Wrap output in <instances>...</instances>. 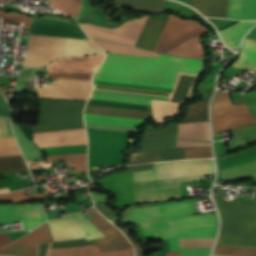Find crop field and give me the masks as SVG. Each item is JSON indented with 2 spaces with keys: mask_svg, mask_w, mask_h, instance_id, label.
Listing matches in <instances>:
<instances>
[{
  "mask_svg": "<svg viewBox=\"0 0 256 256\" xmlns=\"http://www.w3.org/2000/svg\"><path fill=\"white\" fill-rule=\"evenodd\" d=\"M203 67L204 59L169 58L161 54L157 58L107 54L93 79L173 88L179 72L200 76Z\"/></svg>",
  "mask_w": 256,
  "mask_h": 256,
  "instance_id": "obj_1",
  "label": "crop field"
},
{
  "mask_svg": "<svg viewBox=\"0 0 256 256\" xmlns=\"http://www.w3.org/2000/svg\"><path fill=\"white\" fill-rule=\"evenodd\" d=\"M215 173L214 162L187 160L158 163L153 170L134 173V181ZM204 175L134 182L135 202L180 198L178 181L197 180Z\"/></svg>",
  "mask_w": 256,
  "mask_h": 256,
  "instance_id": "obj_2",
  "label": "crop field"
},
{
  "mask_svg": "<svg viewBox=\"0 0 256 256\" xmlns=\"http://www.w3.org/2000/svg\"><path fill=\"white\" fill-rule=\"evenodd\" d=\"M147 236L169 239L170 251L179 252V238H214L217 214L192 215L139 224Z\"/></svg>",
  "mask_w": 256,
  "mask_h": 256,
  "instance_id": "obj_3",
  "label": "crop field"
},
{
  "mask_svg": "<svg viewBox=\"0 0 256 256\" xmlns=\"http://www.w3.org/2000/svg\"><path fill=\"white\" fill-rule=\"evenodd\" d=\"M221 217L219 234L256 237V189L253 203L214 198ZM219 235L216 244L256 247V238Z\"/></svg>",
  "mask_w": 256,
  "mask_h": 256,
  "instance_id": "obj_4",
  "label": "crop field"
},
{
  "mask_svg": "<svg viewBox=\"0 0 256 256\" xmlns=\"http://www.w3.org/2000/svg\"><path fill=\"white\" fill-rule=\"evenodd\" d=\"M66 38L30 35L27 44L25 67H43L57 58L64 57ZM104 51L94 43L67 38L65 56L102 54Z\"/></svg>",
  "mask_w": 256,
  "mask_h": 256,
  "instance_id": "obj_5",
  "label": "crop field"
},
{
  "mask_svg": "<svg viewBox=\"0 0 256 256\" xmlns=\"http://www.w3.org/2000/svg\"><path fill=\"white\" fill-rule=\"evenodd\" d=\"M208 31L194 20H182L171 15L154 51L205 58L200 38Z\"/></svg>",
  "mask_w": 256,
  "mask_h": 256,
  "instance_id": "obj_6",
  "label": "crop field"
},
{
  "mask_svg": "<svg viewBox=\"0 0 256 256\" xmlns=\"http://www.w3.org/2000/svg\"><path fill=\"white\" fill-rule=\"evenodd\" d=\"M212 132L236 129L256 122L244 104L232 105L228 93L217 92L211 107Z\"/></svg>",
  "mask_w": 256,
  "mask_h": 256,
  "instance_id": "obj_7",
  "label": "crop field"
},
{
  "mask_svg": "<svg viewBox=\"0 0 256 256\" xmlns=\"http://www.w3.org/2000/svg\"><path fill=\"white\" fill-rule=\"evenodd\" d=\"M211 90L207 100L190 105L186 118L180 123L208 121V102L213 93ZM178 125L168 126L162 130L145 131L143 134V147L140 151L176 147ZM139 152V151H138Z\"/></svg>",
  "mask_w": 256,
  "mask_h": 256,
  "instance_id": "obj_8",
  "label": "crop field"
},
{
  "mask_svg": "<svg viewBox=\"0 0 256 256\" xmlns=\"http://www.w3.org/2000/svg\"><path fill=\"white\" fill-rule=\"evenodd\" d=\"M250 0H191L193 7L205 16L248 20ZM256 19V0L250 2L249 20Z\"/></svg>",
  "mask_w": 256,
  "mask_h": 256,
  "instance_id": "obj_9",
  "label": "crop field"
},
{
  "mask_svg": "<svg viewBox=\"0 0 256 256\" xmlns=\"http://www.w3.org/2000/svg\"><path fill=\"white\" fill-rule=\"evenodd\" d=\"M148 16L140 19H131L124 22L120 27L115 29H107L103 27H97L90 24H80L81 27L85 26L91 38L113 41L121 44L134 46L139 34L143 28V25Z\"/></svg>",
  "mask_w": 256,
  "mask_h": 256,
  "instance_id": "obj_10",
  "label": "crop field"
},
{
  "mask_svg": "<svg viewBox=\"0 0 256 256\" xmlns=\"http://www.w3.org/2000/svg\"><path fill=\"white\" fill-rule=\"evenodd\" d=\"M1 224L22 221L24 230L33 229L47 221L43 203L0 205Z\"/></svg>",
  "mask_w": 256,
  "mask_h": 256,
  "instance_id": "obj_11",
  "label": "crop field"
},
{
  "mask_svg": "<svg viewBox=\"0 0 256 256\" xmlns=\"http://www.w3.org/2000/svg\"><path fill=\"white\" fill-rule=\"evenodd\" d=\"M193 202H194V199L180 201V202H174V203H168V204H162V205H156V206H150V207H144V208H138V209H132L129 211L128 215L149 212V211H155V210H161V209H167V208H173V207H179V206H185V205H191V204H193ZM192 212H196L194 205L173 208V209H167V210H161V211H155V212H149V213H143V214H137V215H131V216H128L126 223H137V222L153 220V219L175 217V216H179V215H187Z\"/></svg>",
  "mask_w": 256,
  "mask_h": 256,
  "instance_id": "obj_12",
  "label": "crop field"
},
{
  "mask_svg": "<svg viewBox=\"0 0 256 256\" xmlns=\"http://www.w3.org/2000/svg\"><path fill=\"white\" fill-rule=\"evenodd\" d=\"M88 212L94 217L89 219V221L106 236L95 239L101 251L119 250L131 247L123 234L103 218L95 208L88 210Z\"/></svg>",
  "mask_w": 256,
  "mask_h": 256,
  "instance_id": "obj_13",
  "label": "crop field"
},
{
  "mask_svg": "<svg viewBox=\"0 0 256 256\" xmlns=\"http://www.w3.org/2000/svg\"><path fill=\"white\" fill-rule=\"evenodd\" d=\"M53 242L47 222L22 239L0 250V254L12 256H36V244Z\"/></svg>",
  "mask_w": 256,
  "mask_h": 256,
  "instance_id": "obj_14",
  "label": "crop field"
},
{
  "mask_svg": "<svg viewBox=\"0 0 256 256\" xmlns=\"http://www.w3.org/2000/svg\"><path fill=\"white\" fill-rule=\"evenodd\" d=\"M30 34L71 37L88 40L78 25L43 19H33Z\"/></svg>",
  "mask_w": 256,
  "mask_h": 256,
  "instance_id": "obj_15",
  "label": "crop field"
},
{
  "mask_svg": "<svg viewBox=\"0 0 256 256\" xmlns=\"http://www.w3.org/2000/svg\"><path fill=\"white\" fill-rule=\"evenodd\" d=\"M38 147L86 144L84 129L34 134Z\"/></svg>",
  "mask_w": 256,
  "mask_h": 256,
  "instance_id": "obj_16",
  "label": "crop field"
},
{
  "mask_svg": "<svg viewBox=\"0 0 256 256\" xmlns=\"http://www.w3.org/2000/svg\"><path fill=\"white\" fill-rule=\"evenodd\" d=\"M168 18L149 17L135 46L153 51Z\"/></svg>",
  "mask_w": 256,
  "mask_h": 256,
  "instance_id": "obj_17",
  "label": "crop field"
},
{
  "mask_svg": "<svg viewBox=\"0 0 256 256\" xmlns=\"http://www.w3.org/2000/svg\"><path fill=\"white\" fill-rule=\"evenodd\" d=\"M49 256H133V248L101 252L96 244L66 249H51Z\"/></svg>",
  "mask_w": 256,
  "mask_h": 256,
  "instance_id": "obj_18",
  "label": "crop field"
},
{
  "mask_svg": "<svg viewBox=\"0 0 256 256\" xmlns=\"http://www.w3.org/2000/svg\"><path fill=\"white\" fill-rule=\"evenodd\" d=\"M84 113L115 116V117H124V118H133V119H142V120L151 119V111L103 107V106H92V105H87Z\"/></svg>",
  "mask_w": 256,
  "mask_h": 256,
  "instance_id": "obj_19",
  "label": "crop field"
},
{
  "mask_svg": "<svg viewBox=\"0 0 256 256\" xmlns=\"http://www.w3.org/2000/svg\"><path fill=\"white\" fill-rule=\"evenodd\" d=\"M255 23L256 21H240L239 23L220 31V37L230 48L237 49L244 34L248 32Z\"/></svg>",
  "mask_w": 256,
  "mask_h": 256,
  "instance_id": "obj_20",
  "label": "crop field"
},
{
  "mask_svg": "<svg viewBox=\"0 0 256 256\" xmlns=\"http://www.w3.org/2000/svg\"><path fill=\"white\" fill-rule=\"evenodd\" d=\"M231 66L256 70V40H244L240 57Z\"/></svg>",
  "mask_w": 256,
  "mask_h": 256,
  "instance_id": "obj_21",
  "label": "crop field"
},
{
  "mask_svg": "<svg viewBox=\"0 0 256 256\" xmlns=\"http://www.w3.org/2000/svg\"><path fill=\"white\" fill-rule=\"evenodd\" d=\"M54 242L83 238L63 218L49 222Z\"/></svg>",
  "mask_w": 256,
  "mask_h": 256,
  "instance_id": "obj_22",
  "label": "crop field"
},
{
  "mask_svg": "<svg viewBox=\"0 0 256 256\" xmlns=\"http://www.w3.org/2000/svg\"><path fill=\"white\" fill-rule=\"evenodd\" d=\"M66 219L88 240L104 236L93 225H91L81 213L66 217Z\"/></svg>",
  "mask_w": 256,
  "mask_h": 256,
  "instance_id": "obj_23",
  "label": "crop field"
},
{
  "mask_svg": "<svg viewBox=\"0 0 256 256\" xmlns=\"http://www.w3.org/2000/svg\"><path fill=\"white\" fill-rule=\"evenodd\" d=\"M206 137L210 141L208 122H204ZM203 123L179 125L178 138L206 140Z\"/></svg>",
  "mask_w": 256,
  "mask_h": 256,
  "instance_id": "obj_24",
  "label": "crop field"
},
{
  "mask_svg": "<svg viewBox=\"0 0 256 256\" xmlns=\"http://www.w3.org/2000/svg\"><path fill=\"white\" fill-rule=\"evenodd\" d=\"M116 8L130 6L142 11L163 12L164 0H116Z\"/></svg>",
  "mask_w": 256,
  "mask_h": 256,
  "instance_id": "obj_25",
  "label": "crop field"
},
{
  "mask_svg": "<svg viewBox=\"0 0 256 256\" xmlns=\"http://www.w3.org/2000/svg\"><path fill=\"white\" fill-rule=\"evenodd\" d=\"M50 161L65 160L75 173L86 171V153L47 156Z\"/></svg>",
  "mask_w": 256,
  "mask_h": 256,
  "instance_id": "obj_26",
  "label": "crop field"
},
{
  "mask_svg": "<svg viewBox=\"0 0 256 256\" xmlns=\"http://www.w3.org/2000/svg\"><path fill=\"white\" fill-rule=\"evenodd\" d=\"M84 120L117 125L141 127L146 121L84 114Z\"/></svg>",
  "mask_w": 256,
  "mask_h": 256,
  "instance_id": "obj_27",
  "label": "crop field"
},
{
  "mask_svg": "<svg viewBox=\"0 0 256 256\" xmlns=\"http://www.w3.org/2000/svg\"><path fill=\"white\" fill-rule=\"evenodd\" d=\"M91 40H93L99 46L103 47L104 50H106L107 52L132 54V55H138V56H155L156 57L157 55L156 53H152L144 50H138V49L120 46L112 43L101 42L94 39H91Z\"/></svg>",
  "mask_w": 256,
  "mask_h": 256,
  "instance_id": "obj_28",
  "label": "crop field"
},
{
  "mask_svg": "<svg viewBox=\"0 0 256 256\" xmlns=\"http://www.w3.org/2000/svg\"><path fill=\"white\" fill-rule=\"evenodd\" d=\"M28 170L21 156L0 157V173Z\"/></svg>",
  "mask_w": 256,
  "mask_h": 256,
  "instance_id": "obj_29",
  "label": "crop field"
},
{
  "mask_svg": "<svg viewBox=\"0 0 256 256\" xmlns=\"http://www.w3.org/2000/svg\"><path fill=\"white\" fill-rule=\"evenodd\" d=\"M213 253L230 256H256V248L216 245Z\"/></svg>",
  "mask_w": 256,
  "mask_h": 256,
  "instance_id": "obj_30",
  "label": "crop field"
},
{
  "mask_svg": "<svg viewBox=\"0 0 256 256\" xmlns=\"http://www.w3.org/2000/svg\"><path fill=\"white\" fill-rule=\"evenodd\" d=\"M128 155L129 157L127 160V164L146 163L150 161H162L158 150L142 153H131Z\"/></svg>",
  "mask_w": 256,
  "mask_h": 256,
  "instance_id": "obj_31",
  "label": "crop field"
},
{
  "mask_svg": "<svg viewBox=\"0 0 256 256\" xmlns=\"http://www.w3.org/2000/svg\"><path fill=\"white\" fill-rule=\"evenodd\" d=\"M21 155L14 138L0 139V156Z\"/></svg>",
  "mask_w": 256,
  "mask_h": 256,
  "instance_id": "obj_32",
  "label": "crop field"
},
{
  "mask_svg": "<svg viewBox=\"0 0 256 256\" xmlns=\"http://www.w3.org/2000/svg\"><path fill=\"white\" fill-rule=\"evenodd\" d=\"M185 158L212 157L211 146L183 148Z\"/></svg>",
  "mask_w": 256,
  "mask_h": 256,
  "instance_id": "obj_33",
  "label": "crop field"
},
{
  "mask_svg": "<svg viewBox=\"0 0 256 256\" xmlns=\"http://www.w3.org/2000/svg\"><path fill=\"white\" fill-rule=\"evenodd\" d=\"M88 103H90V104H97V105H104V106H114V107H124V108H135V109L151 110L150 106H146V105H137V104H129V103L111 102V101H103V100L89 99Z\"/></svg>",
  "mask_w": 256,
  "mask_h": 256,
  "instance_id": "obj_34",
  "label": "crop field"
},
{
  "mask_svg": "<svg viewBox=\"0 0 256 256\" xmlns=\"http://www.w3.org/2000/svg\"><path fill=\"white\" fill-rule=\"evenodd\" d=\"M26 196L24 191H16V192H12V193H4V194H0V200H6V199H10V198H16V197H23ZM43 193L39 194V195H34V196H29V197H23V198H17V199H10L8 201H20V200H32V199H43Z\"/></svg>",
  "mask_w": 256,
  "mask_h": 256,
  "instance_id": "obj_35",
  "label": "crop field"
},
{
  "mask_svg": "<svg viewBox=\"0 0 256 256\" xmlns=\"http://www.w3.org/2000/svg\"><path fill=\"white\" fill-rule=\"evenodd\" d=\"M90 98L150 105V100H143V99L111 97V96L94 95V94H92Z\"/></svg>",
  "mask_w": 256,
  "mask_h": 256,
  "instance_id": "obj_36",
  "label": "crop field"
},
{
  "mask_svg": "<svg viewBox=\"0 0 256 256\" xmlns=\"http://www.w3.org/2000/svg\"><path fill=\"white\" fill-rule=\"evenodd\" d=\"M93 93L106 94V95H116V96H125V97H135V98H144V99H154V100H164V101H168V99H169V98H165V97H155V96L136 95V94L117 93V92L98 91V90H94Z\"/></svg>",
  "mask_w": 256,
  "mask_h": 256,
  "instance_id": "obj_37",
  "label": "crop field"
},
{
  "mask_svg": "<svg viewBox=\"0 0 256 256\" xmlns=\"http://www.w3.org/2000/svg\"><path fill=\"white\" fill-rule=\"evenodd\" d=\"M210 249L211 248H180V256H208Z\"/></svg>",
  "mask_w": 256,
  "mask_h": 256,
  "instance_id": "obj_38",
  "label": "crop field"
},
{
  "mask_svg": "<svg viewBox=\"0 0 256 256\" xmlns=\"http://www.w3.org/2000/svg\"><path fill=\"white\" fill-rule=\"evenodd\" d=\"M14 137L9 119L0 117V138Z\"/></svg>",
  "mask_w": 256,
  "mask_h": 256,
  "instance_id": "obj_39",
  "label": "crop field"
},
{
  "mask_svg": "<svg viewBox=\"0 0 256 256\" xmlns=\"http://www.w3.org/2000/svg\"><path fill=\"white\" fill-rule=\"evenodd\" d=\"M154 164H143V165H138V166H128V169L125 172H120V173H127V172H134V171H141V170H149L153 168ZM119 174V173H115ZM114 175V174H112Z\"/></svg>",
  "mask_w": 256,
  "mask_h": 256,
  "instance_id": "obj_40",
  "label": "crop field"
},
{
  "mask_svg": "<svg viewBox=\"0 0 256 256\" xmlns=\"http://www.w3.org/2000/svg\"><path fill=\"white\" fill-rule=\"evenodd\" d=\"M211 145L207 142L178 140L177 147Z\"/></svg>",
  "mask_w": 256,
  "mask_h": 256,
  "instance_id": "obj_41",
  "label": "crop field"
},
{
  "mask_svg": "<svg viewBox=\"0 0 256 256\" xmlns=\"http://www.w3.org/2000/svg\"><path fill=\"white\" fill-rule=\"evenodd\" d=\"M124 234L126 235V237L129 239V241L131 242V244L134 246L135 251H136V256H142V248L140 245H138L137 243H135L128 235V231L126 229H122L120 228Z\"/></svg>",
  "mask_w": 256,
  "mask_h": 256,
  "instance_id": "obj_42",
  "label": "crop field"
},
{
  "mask_svg": "<svg viewBox=\"0 0 256 256\" xmlns=\"http://www.w3.org/2000/svg\"><path fill=\"white\" fill-rule=\"evenodd\" d=\"M99 211L106 217L113 215V213L106 207L105 203L96 204Z\"/></svg>",
  "mask_w": 256,
  "mask_h": 256,
  "instance_id": "obj_43",
  "label": "crop field"
},
{
  "mask_svg": "<svg viewBox=\"0 0 256 256\" xmlns=\"http://www.w3.org/2000/svg\"><path fill=\"white\" fill-rule=\"evenodd\" d=\"M12 242L9 235L0 234V248L5 246L6 244Z\"/></svg>",
  "mask_w": 256,
  "mask_h": 256,
  "instance_id": "obj_44",
  "label": "crop field"
},
{
  "mask_svg": "<svg viewBox=\"0 0 256 256\" xmlns=\"http://www.w3.org/2000/svg\"><path fill=\"white\" fill-rule=\"evenodd\" d=\"M165 256H179V253H169V252H166Z\"/></svg>",
  "mask_w": 256,
  "mask_h": 256,
  "instance_id": "obj_45",
  "label": "crop field"
},
{
  "mask_svg": "<svg viewBox=\"0 0 256 256\" xmlns=\"http://www.w3.org/2000/svg\"><path fill=\"white\" fill-rule=\"evenodd\" d=\"M213 256H223V255H216V254H213Z\"/></svg>",
  "mask_w": 256,
  "mask_h": 256,
  "instance_id": "obj_46",
  "label": "crop field"
},
{
  "mask_svg": "<svg viewBox=\"0 0 256 256\" xmlns=\"http://www.w3.org/2000/svg\"><path fill=\"white\" fill-rule=\"evenodd\" d=\"M56 80H58V79H56Z\"/></svg>",
  "mask_w": 256,
  "mask_h": 256,
  "instance_id": "obj_47",
  "label": "crop field"
},
{
  "mask_svg": "<svg viewBox=\"0 0 256 256\" xmlns=\"http://www.w3.org/2000/svg\"><path fill=\"white\" fill-rule=\"evenodd\" d=\"M63 196V195H62Z\"/></svg>",
  "mask_w": 256,
  "mask_h": 256,
  "instance_id": "obj_48",
  "label": "crop field"
}]
</instances>
